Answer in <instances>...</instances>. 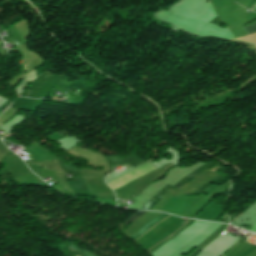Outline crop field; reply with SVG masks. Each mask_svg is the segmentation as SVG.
Masks as SVG:
<instances>
[{
	"label": "crop field",
	"instance_id": "crop-field-1",
	"mask_svg": "<svg viewBox=\"0 0 256 256\" xmlns=\"http://www.w3.org/2000/svg\"><path fill=\"white\" fill-rule=\"evenodd\" d=\"M168 216V214H161L159 216H157L156 218L148 221V223L144 224L142 226V228L137 231L136 233H134L132 236H130V238H132L133 240L138 239L140 236H142L144 233H146L148 230H150L152 227H154L156 224H158L160 221H162L164 218H166ZM171 216V215H170ZM168 218V217H167ZM166 218V219H167ZM164 221V220H163ZM162 221V222H163ZM160 224V223H159ZM156 227V226H155Z\"/></svg>",
	"mask_w": 256,
	"mask_h": 256
},
{
	"label": "crop field",
	"instance_id": "crop-field-2",
	"mask_svg": "<svg viewBox=\"0 0 256 256\" xmlns=\"http://www.w3.org/2000/svg\"><path fill=\"white\" fill-rule=\"evenodd\" d=\"M247 34L256 33V24L244 27Z\"/></svg>",
	"mask_w": 256,
	"mask_h": 256
},
{
	"label": "crop field",
	"instance_id": "crop-field-3",
	"mask_svg": "<svg viewBox=\"0 0 256 256\" xmlns=\"http://www.w3.org/2000/svg\"><path fill=\"white\" fill-rule=\"evenodd\" d=\"M145 212H137L135 214H133L132 216L129 217L128 221L125 223V225L129 224L130 222H132L136 217L142 215Z\"/></svg>",
	"mask_w": 256,
	"mask_h": 256
},
{
	"label": "crop field",
	"instance_id": "crop-field-4",
	"mask_svg": "<svg viewBox=\"0 0 256 256\" xmlns=\"http://www.w3.org/2000/svg\"><path fill=\"white\" fill-rule=\"evenodd\" d=\"M105 164H107V161H106V160H104V161H102V162H99V163H96V164H94L93 166L98 167V166L105 165Z\"/></svg>",
	"mask_w": 256,
	"mask_h": 256
},
{
	"label": "crop field",
	"instance_id": "crop-field-5",
	"mask_svg": "<svg viewBox=\"0 0 256 256\" xmlns=\"http://www.w3.org/2000/svg\"><path fill=\"white\" fill-rule=\"evenodd\" d=\"M10 103L8 101H6L1 107L0 109L3 111Z\"/></svg>",
	"mask_w": 256,
	"mask_h": 256
}]
</instances>
